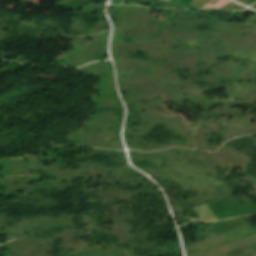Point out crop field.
<instances>
[{"label":"crop field","mask_w":256,"mask_h":256,"mask_svg":"<svg viewBox=\"0 0 256 256\" xmlns=\"http://www.w3.org/2000/svg\"><path fill=\"white\" fill-rule=\"evenodd\" d=\"M199 212L204 216V218L207 221H217L218 219L212 214V212L207 208V206L205 204L196 207ZM194 208L195 212L197 213V215L199 216V218L201 220H204V218L202 217V215L197 211V209Z\"/></svg>","instance_id":"crop-field-1"},{"label":"crop field","mask_w":256,"mask_h":256,"mask_svg":"<svg viewBox=\"0 0 256 256\" xmlns=\"http://www.w3.org/2000/svg\"><path fill=\"white\" fill-rule=\"evenodd\" d=\"M212 1H214V0H211L209 3H207L202 8L219 9V8L223 7L224 5H226L227 3L231 2L229 0H215L217 3L210 4Z\"/></svg>","instance_id":"crop-field-2"}]
</instances>
